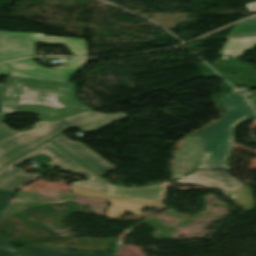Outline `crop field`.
<instances>
[{
  "mask_svg": "<svg viewBox=\"0 0 256 256\" xmlns=\"http://www.w3.org/2000/svg\"><path fill=\"white\" fill-rule=\"evenodd\" d=\"M8 71L9 67L5 63L0 64V74L7 75Z\"/></svg>",
  "mask_w": 256,
  "mask_h": 256,
  "instance_id": "crop-field-21",
  "label": "crop field"
},
{
  "mask_svg": "<svg viewBox=\"0 0 256 256\" xmlns=\"http://www.w3.org/2000/svg\"><path fill=\"white\" fill-rule=\"evenodd\" d=\"M51 141L99 174L116 169V167L80 142H73L62 135Z\"/></svg>",
  "mask_w": 256,
  "mask_h": 256,
  "instance_id": "crop-field-9",
  "label": "crop field"
},
{
  "mask_svg": "<svg viewBox=\"0 0 256 256\" xmlns=\"http://www.w3.org/2000/svg\"><path fill=\"white\" fill-rule=\"evenodd\" d=\"M225 95L227 98L219 99V101L229 116L196 136L197 138L207 140L228 126L235 129L239 125L256 118L242 94L229 93Z\"/></svg>",
  "mask_w": 256,
  "mask_h": 256,
  "instance_id": "crop-field-5",
  "label": "crop field"
},
{
  "mask_svg": "<svg viewBox=\"0 0 256 256\" xmlns=\"http://www.w3.org/2000/svg\"><path fill=\"white\" fill-rule=\"evenodd\" d=\"M44 155L46 158L50 159L52 158L54 161L47 164L48 166L54 168L59 167L63 171H66L68 173H76L84 176H92L95 175L93 172H91L89 169H87L85 166H83L81 163L73 159L71 156H69L67 153L63 152L61 149H59L57 146L52 144L51 142H47L31 151L26 153L25 155L21 156L17 160L13 161L9 165L5 166L4 168H10L14 167L38 154Z\"/></svg>",
  "mask_w": 256,
  "mask_h": 256,
  "instance_id": "crop-field-7",
  "label": "crop field"
},
{
  "mask_svg": "<svg viewBox=\"0 0 256 256\" xmlns=\"http://www.w3.org/2000/svg\"><path fill=\"white\" fill-rule=\"evenodd\" d=\"M21 251L25 252L29 256H114L112 254H100V255H89L76 252L62 251V250H53V249H44L26 246Z\"/></svg>",
  "mask_w": 256,
  "mask_h": 256,
  "instance_id": "crop-field-15",
  "label": "crop field"
},
{
  "mask_svg": "<svg viewBox=\"0 0 256 256\" xmlns=\"http://www.w3.org/2000/svg\"><path fill=\"white\" fill-rule=\"evenodd\" d=\"M175 182H191L202 184L207 188H220L223 191L230 190L240 184L228 171L194 170L187 176L175 180Z\"/></svg>",
  "mask_w": 256,
  "mask_h": 256,
  "instance_id": "crop-field-11",
  "label": "crop field"
},
{
  "mask_svg": "<svg viewBox=\"0 0 256 256\" xmlns=\"http://www.w3.org/2000/svg\"><path fill=\"white\" fill-rule=\"evenodd\" d=\"M225 194L236 201L243 209H254L252 194L247 186H242Z\"/></svg>",
  "mask_w": 256,
  "mask_h": 256,
  "instance_id": "crop-field-16",
  "label": "crop field"
},
{
  "mask_svg": "<svg viewBox=\"0 0 256 256\" xmlns=\"http://www.w3.org/2000/svg\"><path fill=\"white\" fill-rule=\"evenodd\" d=\"M251 102H252V104H253V106H254V108L256 110V98L251 99Z\"/></svg>",
  "mask_w": 256,
  "mask_h": 256,
  "instance_id": "crop-field-23",
  "label": "crop field"
},
{
  "mask_svg": "<svg viewBox=\"0 0 256 256\" xmlns=\"http://www.w3.org/2000/svg\"><path fill=\"white\" fill-rule=\"evenodd\" d=\"M248 12H255L256 11V3L247 4Z\"/></svg>",
  "mask_w": 256,
  "mask_h": 256,
  "instance_id": "crop-field-22",
  "label": "crop field"
},
{
  "mask_svg": "<svg viewBox=\"0 0 256 256\" xmlns=\"http://www.w3.org/2000/svg\"><path fill=\"white\" fill-rule=\"evenodd\" d=\"M39 174H28L21 168L0 170V189L16 192L38 178Z\"/></svg>",
  "mask_w": 256,
  "mask_h": 256,
  "instance_id": "crop-field-13",
  "label": "crop field"
},
{
  "mask_svg": "<svg viewBox=\"0 0 256 256\" xmlns=\"http://www.w3.org/2000/svg\"><path fill=\"white\" fill-rule=\"evenodd\" d=\"M74 84L9 76L0 99V115L39 114L38 119L54 121L87 111L74 98Z\"/></svg>",
  "mask_w": 256,
  "mask_h": 256,
  "instance_id": "crop-field-1",
  "label": "crop field"
},
{
  "mask_svg": "<svg viewBox=\"0 0 256 256\" xmlns=\"http://www.w3.org/2000/svg\"><path fill=\"white\" fill-rule=\"evenodd\" d=\"M34 43L67 45L69 51L77 56H87L84 39L45 37L42 34L0 31V62L28 57L34 54Z\"/></svg>",
  "mask_w": 256,
  "mask_h": 256,
  "instance_id": "crop-field-3",
  "label": "crop field"
},
{
  "mask_svg": "<svg viewBox=\"0 0 256 256\" xmlns=\"http://www.w3.org/2000/svg\"><path fill=\"white\" fill-rule=\"evenodd\" d=\"M6 119H8V118L0 116V141L5 139L6 137L18 132V131L10 129L4 125V122Z\"/></svg>",
  "mask_w": 256,
  "mask_h": 256,
  "instance_id": "crop-field-19",
  "label": "crop field"
},
{
  "mask_svg": "<svg viewBox=\"0 0 256 256\" xmlns=\"http://www.w3.org/2000/svg\"><path fill=\"white\" fill-rule=\"evenodd\" d=\"M89 59H72L65 64L67 66H61L58 69H49L36 64L30 60H20L15 62H9L12 67L10 75L34 77L50 80L66 81L73 76L76 69L85 64Z\"/></svg>",
  "mask_w": 256,
  "mask_h": 256,
  "instance_id": "crop-field-6",
  "label": "crop field"
},
{
  "mask_svg": "<svg viewBox=\"0 0 256 256\" xmlns=\"http://www.w3.org/2000/svg\"><path fill=\"white\" fill-rule=\"evenodd\" d=\"M256 35V16L237 23L229 37Z\"/></svg>",
  "mask_w": 256,
  "mask_h": 256,
  "instance_id": "crop-field-17",
  "label": "crop field"
},
{
  "mask_svg": "<svg viewBox=\"0 0 256 256\" xmlns=\"http://www.w3.org/2000/svg\"><path fill=\"white\" fill-rule=\"evenodd\" d=\"M3 86H4V85H0V92H1V90H2V88H3Z\"/></svg>",
  "mask_w": 256,
  "mask_h": 256,
  "instance_id": "crop-field-24",
  "label": "crop field"
},
{
  "mask_svg": "<svg viewBox=\"0 0 256 256\" xmlns=\"http://www.w3.org/2000/svg\"><path fill=\"white\" fill-rule=\"evenodd\" d=\"M87 182L71 183V191L94 198L106 199L111 203L105 212L106 217L116 219L125 212L141 216L142 208H162L166 184H156L137 188L113 186L99 176L89 177Z\"/></svg>",
  "mask_w": 256,
  "mask_h": 256,
  "instance_id": "crop-field-2",
  "label": "crop field"
},
{
  "mask_svg": "<svg viewBox=\"0 0 256 256\" xmlns=\"http://www.w3.org/2000/svg\"><path fill=\"white\" fill-rule=\"evenodd\" d=\"M256 47V37L228 39L221 54H225L223 59L243 56L245 51H254Z\"/></svg>",
  "mask_w": 256,
  "mask_h": 256,
  "instance_id": "crop-field-14",
  "label": "crop field"
},
{
  "mask_svg": "<svg viewBox=\"0 0 256 256\" xmlns=\"http://www.w3.org/2000/svg\"><path fill=\"white\" fill-rule=\"evenodd\" d=\"M205 144V141L199 139L185 138L174 159L173 180L181 178L195 169Z\"/></svg>",
  "mask_w": 256,
  "mask_h": 256,
  "instance_id": "crop-field-10",
  "label": "crop field"
},
{
  "mask_svg": "<svg viewBox=\"0 0 256 256\" xmlns=\"http://www.w3.org/2000/svg\"><path fill=\"white\" fill-rule=\"evenodd\" d=\"M70 128L63 121H39L32 130L18 132L0 142V167L29 149Z\"/></svg>",
  "mask_w": 256,
  "mask_h": 256,
  "instance_id": "crop-field-4",
  "label": "crop field"
},
{
  "mask_svg": "<svg viewBox=\"0 0 256 256\" xmlns=\"http://www.w3.org/2000/svg\"><path fill=\"white\" fill-rule=\"evenodd\" d=\"M16 193L0 190V209L9 202Z\"/></svg>",
  "mask_w": 256,
  "mask_h": 256,
  "instance_id": "crop-field-20",
  "label": "crop field"
},
{
  "mask_svg": "<svg viewBox=\"0 0 256 256\" xmlns=\"http://www.w3.org/2000/svg\"><path fill=\"white\" fill-rule=\"evenodd\" d=\"M124 117H127L124 113L102 114L88 111L63 119V121L69 126L87 133L102 128L110 122Z\"/></svg>",
  "mask_w": 256,
  "mask_h": 256,
  "instance_id": "crop-field-12",
  "label": "crop field"
},
{
  "mask_svg": "<svg viewBox=\"0 0 256 256\" xmlns=\"http://www.w3.org/2000/svg\"><path fill=\"white\" fill-rule=\"evenodd\" d=\"M234 130L226 129L207 142L196 168L228 170L223 163L233 145ZM222 147L219 149L218 147Z\"/></svg>",
  "mask_w": 256,
  "mask_h": 256,
  "instance_id": "crop-field-8",
  "label": "crop field"
},
{
  "mask_svg": "<svg viewBox=\"0 0 256 256\" xmlns=\"http://www.w3.org/2000/svg\"><path fill=\"white\" fill-rule=\"evenodd\" d=\"M0 256H25L0 239Z\"/></svg>",
  "mask_w": 256,
  "mask_h": 256,
  "instance_id": "crop-field-18",
  "label": "crop field"
}]
</instances>
